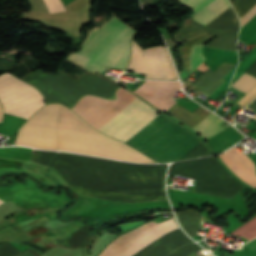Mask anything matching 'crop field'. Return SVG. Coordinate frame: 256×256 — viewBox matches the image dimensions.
<instances>
[{
    "instance_id": "crop-field-1",
    "label": "crop field",
    "mask_w": 256,
    "mask_h": 256,
    "mask_svg": "<svg viewBox=\"0 0 256 256\" xmlns=\"http://www.w3.org/2000/svg\"><path fill=\"white\" fill-rule=\"evenodd\" d=\"M57 107L58 104H48L44 106L31 116L26 123L56 128ZM28 124H24L20 128L15 145L56 149V129ZM58 128L98 133L138 153L146 158L149 163L154 162L133 148L96 131L83 119L64 106L61 108L60 124ZM98 134L58 129L59 149L125 161L148 163L143 157L117 143L102 138Z\"/></svg>"
},
{
    "instance_id": "crop-field-2",
    "label": "crop field",
    "mask_w": 256,
    "mask_h": 256,
    "mask_svg": "<svg viewBox=\"0 0 256 256\" xmlns=\"http://www.w3.org/2000/svg\"><path fill=\"white\" fill-rule=\"evenodd\" d=\"M117 98L86 95L71 110L99 131L125 142L156 118L158 111L122 88Z\"/></svg>"
},
{
    "instance_id": "crop-field-3",
    "label": "crop field",
    "mask_w": 256,
    "mask_h": 256,
    "mask_svg": "<svg viewBox=\"0 0 256 256\" xmlns=\"http://www.w3.org/2000/svg\"><path fill=\"white\" fill-rule=\"evenodd\" d=\"M200 142L189 130L161 114L125 143L158 162H169L177 160ZM205 146L201 142L178 160L210 155Z\"/></svg>"
},
{
    "instance_id": "crop-field-4",
    "label": "crop field",
    "mask_w": 256,
    "mask_h": 256,
    "mask_svg": "<svg viewBox=\"0 0 256 256\" xmlns=\"http://www.w3.org/2000/svg\"><path fill=\"white\" fill-rule=\"evenodd\" d=\"M135 33L113 16L100 29H93L83 49L67 59L90 71L104 73L109 67L124 70L128 62L130 39Z\"/></svg>"
},
{
    "instance_id": "crop-field-5",
    "label": "crop field",
    "mask_w": 256,
    "mask_h": 256,
    "mask_svg": "<svg viewBox=\"0 0 256 256\" xmlns=\"http://www.w3.org/2000/svg\"><path fill=\"white\" fill-rule=\"evenodd\" d=\"M178 228L177 223L172 218L159 224L152 221L117 238L99 256H131L155 239ZM189 242L191 240L178 229L155 240L133 256H166Z\"/></svg>"
},
{
    "instance_id": "crop-field-6",
    "label": "crop field",
    "mask_w": 256,
    "mask_h": 256,
    "mask_svg": "<svg viewBox=\"0 0 256 256\" xmlns=\"http://www.w3.org/2000/svg\"><path fill=\"white\" fill-rule=\"evenodd\" d=\"M23 80L34 85L47 102L61 103L69 108H72L84 94L115 99V91L120 88L98 75L84 74L81 79L74 80L61 72L50 74L44 73L41 69Z\"/></svg>"
},
{
    "instance_id": "crop-field-7",
    "label": "crop field",
    "mask_w": 256,
    "mask_h": 256,
    "mask_svg": "<svg viewBox=\"0 0 256 256\" xmlns=\"http://www.w3.org/2000/svg\"><path fill=\"white\" fill-rule=\"evenodd\" d=\"M0 101L4 112L28 118L45 102L32 86L10 75L0 80Z\"/></svg>"
},
{
    "instance_id": "crop-field-8",
    "label": "crop field",
    "mask_w": 256,
    "mask_h": 256,
    "mask_svg": "<svg viewBox=\"0 0 256 256\" xmlns=\"http://www.w3.org/2000/svg\"><path fill=\"white\" fill-rule=\"evenodd\" d=\"M127 69L146 75V79H178L166 48L159 46L143 51L134 40Z\"/></svg>"
},
{
    "instance_id": "crop-field-9",
    "label": "crop field",
    "mask_w": 256,
    "mask_h": 256,
    "mask_svg": "<svg viewBox=\"0 0 256 256\" xmlns=\"http://www.w3.org/2000/svg\"><path fill=\"white\" fill-rule=\"evenodd\" d=\"M230 6L231 5L228 0H214L212 3L193 15V19L206 25ZM207 26L238 33L239 21L232 7H230L207 24Z\"/></svg>"
},
{
    "instance_id": "crop-field-10",
    "label": "crop field",
    "mask_w": 256,
    "mask_h": 256,
    "mask_svg": "<svg viewBox=\"0 0 256 256\" xmlns=\"http://www.w3.org/2000/svg\"><path fill=\"white\" fill-rule=\"evenodd\" d=\"M204 32L217 35L219 31L206 28L194 21L192 18H187L185 19L180 32L176 34L175 40L183 42ZM236 39V33L220 31L219 34L205 46L237 52Z\"/></svg>"
},
{
    "instance_id": "crop-field-11",
    "label": "crop field",
    "mask_w": 256,
    "mask_h": 256,
    "mask_svg": "<svg viewBox=\"0 0 256 256\" xmlns=\"http://www.w3.org/2000/svg\"><path fill=\"white\" fill-rule=\"evenodd\" d=\"M180 89L178 81H146L134 92L165 112L176 102L171 97Z\"/></svg>"
},
{
    "instance_id": "crop-field-12",
    "label": "crop field",
    "mask_w": 256,
    "mask_h": 256,
    "mask_svg": "<svg viewBox=\"0 0 256 256\" xmlns=\"http://www.w3.org/2000/svg\"><path fill=\"white\" fill-rule=\"evenodd\" d=\"M222 161L243 181L256 187L254 163L246 154H240L234 147L219 155Z\"/></svg>"
},
{
    "instance_id": "crop-field-13",
    "label": "crop field",
    "mask_w": 256,
    "mask_h": 256,
    "mask_svg": "<svg viewBox=\"0 0 256 256\" xmlns=\"http://www.w3.org/2000/svg\"><path fill=\"white\" fill-rule=\"evenodd\" d=\"M236 65L223 62L214 72L207 70L194 84L199 91L210 95L225 80L222 78L231 71Z\"/></svg>"
},
{
    "instance_id": "crop-field-14",
    "label": "crop field",
    "mask_w": 256,
    "mask_h": 256,
    "mask_svg": "<svg viewBox=\"0 0 256 256\" xmlns=\"http://www.w3.org/2000/svg\"><path fill=\"white\" fill-rule=\"evenodd\" d=\"M245 73L256 77V61L245 71ZM245 73H243L239 79L232 83L231 86L244 93H248L256 85V78L251 77ZM255 96L256 86L237 103L245 107Z\"/></svg>"
},
{
    "instance_id": "crop-field-15",
    "label": "crop field",
    "mask_w": 256,
    "mask_h": 256,
    "mask_svg": "<svg viewBox=\"0 0 256 256\" xmlns=\"http://www.w3.org/2000/svg\"><path fill=\"white\" fill-rule=\"evenodd\" d=\"M167 113H170L172 116L176 117L192 128L210 114L199 107L192 113L177 104Z\"/></svg>"
},
{
    "instance_id": "crop-field-16",
    "label": "crop field",
    "mask_w": 256,
    "mask_h": 256,
    "mask_svg": "<svg viewBox=\"0 0 256 256\" xmlns=\"http://www.w3.org/2000/svg\"><path fill=\"white\" fill-rule=\"evenodd\" d=\"M182 228L193 237L202 220H208L206 217L200 216L193 209L182 210L175 212Z\"/></svg>"
},
{
    "instance_id": "crop-field-17",
    "label": "crop field",
    "mask_w": 256,
    "mask_h": 256,
    "mask_svg": "<svg viewBox=\"0 0 256 256\" xmlns=\"http://www.w3.org/2000/svg\"><path fill=\"white\" fill-rule=\"evenodd\" d=\"M216 115L210 114L205 118L199 125H197L193 130L198 132L205 140L225 129L220 124L225 122L217 117Z\"/></svg>"
},
{
    "instance_id": "crop-field-18",
    "label": "crop field",
    "mask_w": 256,
    "mask_h": 256,
    "mask_svg": "<svg viewBox=\"0 0 256 256\" xmlns=\"http://www.w3.org/2000/svg\"><path fill=\"white\" fill-rule=\"evenodd\" d=\"M230 2L240 18L256 3V0H230ZM255 14H256V4L246 14H244L240 18L241 27Z\"/></svg>"
},
{
    "instance_id": "crop-field-19",
    "label": "crop field",
    "mask_w": 256,
    "mask_h": 256,
    "mask_svg": "<svg viewBox=\"0 0 256 256\" xmlns=\"http://www.w3.org/2000/svg\"><path fill=\"white\" fill-rule=\"evenodd\" d=\"M209 36L202 34L197 37H194L187 42L183 43V46L178 48L177 51L182 55L185 68L189 67V58H190V51L193 44L203 43L205 42Z\"/></svg>"
},
{
    "instance_id": "crop-field-20",
    "label": "crop field",
    "mask_w": 256,
    "mask_h": 256,
    "mask_svg": "<svg viewBox=\"0 0 256 256\" xmlns=\"http://www.w3.org/2000/svg\"><path fill=\"white\" fill-rule=\"evenodd\" d=\"M203 45L198 44L194 45L191 51V58H190V74L199 66L200 63L203 62L205 59L202 53Z\"/></svg>"
},
{
    "instance_id": "crop-field-21",
    "label": "crop field",
    "mask_w": 256,
    "mask_h": 256,
    "mask_svg": "<svg viewBox=\"0 0 256 256\" xmlns=\"http://www.w3.org/2000/svg\"><path fill=\"white\" fill-rule=\"evenodd\" d=\"M199 248H201V247H199L195 243L188 244V245H185V246L179 248L178 250H176L175 252L171 253L168 256H187V255L195 252Z\"/></svg>"
},
{
    "instance_id": "crop-field-22",
    "label": "crop field",
    "mask_w": 256,
    "mask_h": 256,
    "mask_svg": "<svg viewBox=\"0 0 256 256\" xmlns=\"http://www.w3.org/2000/svg\"><path fill=\"white\" fill-rule=\"evenodd\" d=\"M49 13L64 11L65 8L60 0H43Z\"/></svg>"
},
{
    "instance_id": "crop-field-23",
    "label": "crop field",
    "mask_w": 256,
    "mask_h": 256,
    "mask_svg": "<svg viewBox=\"0 0 256 256\" xmlns=\"http://www.w3.org/2000/svg\"><path fill=\"white\" fill-rule=\"evenodd\" d=\"M177 1L189 8H192V7L196 6L197 4H199L203 0H177Z\"/></svg>"
},
{
    "instance_id": "crop-field-24",
    "label": "crop field",
    "mask_w": 256,
    "mask_h": 256,
    "mask_svg": "<svg viewBox=\"0 0 256 256\" xmlns=\"http://www.w3.org/2000/svg\"><path fill=\"white\" fill-rule=\"evenodd\" d=\"M17 256H42V255H40L37 251L29 248V249L25 250L24 252L18 254Z\"/></svg>"
},
{
    "instance_id": "crop-field-25",
    "label": "crop field",
    "mask_w": 256,
    "mask_h": 256,
    "mask_svg": "<svg viewBox=\"0 0 256 256\" xmlns=\"http://www.w3.org/2000/svg\"><path fill=\"white\" fill-rule=\"evenodd\" d=\"M212 1L213 0H204L199 5H197L195 8H193L192 11L195 13V12L199 11L201 8H203L204 6H206L207 4H209Z\"/></svg>"
},
{
    "instance_id": "crop-field-26",
    "label": "crop field",
    "mask_w": 256,
    "mask_h": 256,
    "mask_svg": "<svg viewBox=\"0 0 256 256\" xmlns=\"http://www.w3.org/2000/svg\"><path fill=\"white\" fill-rule=\"evenodd\" d=\"M250 106L256 108V99L250 104Z\"/></svg>"
},
{
    "instance_id": "crop-field-27",
    "label": "crop field",
    "mask_w": 256,
    "mask_h": 256,
    "mask_svg": "<svg viewBox=\"0 0 256 256\" xmlns=\"http://www.w3.org/2000/svg\"><path fill=\"white\" fill-rule=\"evenodd\" d=\"M1 119H2V106L0 104V121H1Z\"/></svg>"
},
{
    "instance_id": "crop-field-28",
    "label": "crop field",
    "mask_w": 256,
    "mask_h": 256,
    "mask_svg": "<svg viewBox=\"0 0 256 256\" xmlns=\"http://www.w3.org/2000/svg\"><path fill=\"white\" fill-rule=\"evenodd\" d=\"M2 202H4V201L0 200V203H2Z\"/></svg>"
},
{
    "instance_id": "crop-field-29",
    "label": "crop field",
    "mask_w": 256,
    "mask_h": 256,
    "mask_svg": "<svg viewBox=\"0 0 256 256\" xmlns=\"http://www.w3.org/2000/svg\"><path fill=\"white\" fill-rule=\"evenodd\" d=\"M207 256H212V255L209 254V255H207Z\"/></svg>"
}]
</instances>
